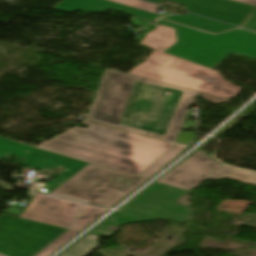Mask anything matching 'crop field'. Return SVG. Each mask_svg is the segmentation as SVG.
Wrapping results in <instances>:
<instances>
[{
  "label": "crop field",
  "mask_w": 256,
  "mask_h": 256,
  "mask_svg": "<svg viewBox=\"0 0 256 256\" xmlns=\"http://www.w3.org/2000/svg\"><path fill=\"white\" fill-rule=\"evenodd\" d=\"M197 94L106 69L87 120L175 142Z\"/></svg>",
  "instance_id": "8a807250"
},
{
  "label": "crop field",
  "mask_w": 256,
  "mask_h": 256,
  "mask_svg": "<svg viewBox=\"0 0 256 256\" xmlns=\"http://www.w3.org/2000/svg\"><path fill=\"white\" fill-rule=\"evenodd\" d=\"M74 127L37 146L83 162L138 176L175 144L91 124Z\"/></svg>",
  "instance_id": "ac0d7876"
},
{
  "label": "crop field",
  "mask_w": 256,
  "mask_h": 256,
  "mask_svg": "<svg viewBox=\"0 0 256 256\" xmlns=\"http://www.w3.org/2000/svg\"><path fill=\"white\" fill-rule=\"evenodd\" d=\"M154 23L175 28L177 43L164 53L210 69L231 52L256 58V33L254 32L237 28L213 34L161 18Z\"/></svg>",
  "instance_id": "34b2d1b8"
},
{
  "label": "crop field",
  "mask_w": 256,
  "mask_h": 256,
  "mask_svg": "<svg viewBox=\"0 0 256 256\" xmlns=\"http://www.w3.org/2000/svg\"><path fill=\"white\" fill-rule=\"evenodd\" d=\"M128 74L226 99L241 91L216 71L156 50Z\"/></svg>",
  "instance_id": "412701ff"
},
{
  "label": "crop field",
  "mask_w": 256,
  "mask_h": 256,
  "mask_svg": "<svg viewBox=\"0 0 256 256\" xmlns=\"http://www.w3.org/2000/svg\"><path fill=\"white\" fill-rule=\"evenodd\" d=\"M147 179L87 165L52 194L113 207Z\"/></svg>",
  "instance_id": "f4fd0767"
},
{
  "label": "crop field",
  "mask_w": 256,
  "mask_h": 256,
  "mask_svg": "<svg viewBox=\"0 0 256 256\" xmlns=\"http://www.w3.org/2000/svg\"><path fill=\"white\" fill-rule=\"evenodd\" d=\"M65 229L6 215L0 216V253L33 256Z\"/></svg>",
  "instance_id": "dd49c442"
},
{
  "label": "crop field",
  "mask_w": 256,
  "mask_h": 256,
  "mask_svg": "<svg viewBox=\"0 0 256 256\" xmlns=\"http://www.w3.org/2000/svg\"><path fill=\"white\" fill-rule=\"evenodd\" d=\"M187 192L155 182L121 210L183 223L190 218L189 208L174 201Z\"/></svg>",
  "instance_id": "e52e79f7"
},
{
  "label": "crop field",
  "mask_w": 256,
  "mask_h": 256,
  "mask_svg": "<svg viewBox=\"0 0 256 256\" xmlns=\"http://www.w3.org/2000/svg\"><path fill=\"white\" fill-rule=\"evenodd\" d=\"M5 154L28 158L24 162L27 167L50 171L69 177L87 165V163L0 138V157ZM44 157L48 159H44ZM55 188L57 187L40 183L34 190L50 193Z\"/></svg>",
  "instance_id": "d8731c3e"
},
{
  "label": "crop field",
  "mask_w": 256,
  "mask_h": 256,
  "mask_svg": "<svg viewBox=\"0 0 256 256\" xmlns=\"http://www.w3.org/2000/svg\"><path fill=\"white\" fill-rule=\"evenodd\" d=\"M82 204L38 193L20 216L68 229Z\"/></svg>",
  "instance_id": "5a996713"
},
{
  "label": "crop field",
  "mask_w": 256,
  "mask_h": 256,
  "mask_svg": "<svg viewBox=\"0 0 256 256\" xmlns=\"http://www.w3.org/2000/svg\"><path fill=\"white\" fill-rule=\"evenodd\" d=\"M219 165L197 151L157 182L190 191L207 179L205 176Z\"/></svg>",
  "instance_id": "3316defc"
},
{
  "label": "crop field",
  "mask_w": 256,
  "mask_h": 256,
  "mask_svg": "<svg viewBox=\"0 0 256 256\" xmlns=\"http://www.w3.org/2000/svg\"><path fill=\"white\" fill-rule=\"evenodd\" d=\"M161 2L164 0H152ZM181 3L188 11L240 26L254 6L231 0H167ZM155 2V3H156Z\"/></svg>",
  "instance_id": "28ad6ade"
},
{
  "label": "crop field",
  "mask_w": 256,
  "mask_h": 256,
  "mask_svg": "<svg viewBox=\"0 0 256 256\" xmlns=\"http://www.w3.org/2000/svg\"><path fill=\"white\" fill-rule=\"evenodd\" d=\"M53 9L67 12L81 11V12H96L102 13L107 9L116 10L146 20H154L158 17L155 14L147 13L144 11L136 10L133 8L125 7L115 3L104 0H63Z\"/></svg>",
  "instance_id": "d1516ede"
},
{
  "label": "crop field",
  "mask_w": 256,
  "mask_h": 256,
  "mask_svg": "<svg viewBox=\"0 0 256 256\" xmlns=\"http://www.w3.org/2000/svg\"><path fill=\"white\" fill-rule=\"evenodd\" d=\"M174 43H176L174 29L159 25L144 37L140 45L163 52Z\"/></svg>",
  "instance_id": "22f410ed"
},
{
  "label": "crop field",
  "mask_w": 256,
  "mask_h": 256,
  "mask_svg": "<svg viewBox=\"0 0 256 256\" xmlns=\"http://www.w3.org/2000/svg\"><path fill=\"white\" fill-rule=\"evenodd\" d=\"M151 220H157V219L141 216V215L125 213V212H116L112 216H110L107 220H105L101 225H99L97 228L91 231L89 234L110 238L115 233V231L108 230V228L113 224L120 226L125 223L151 221Z\"/></svg>",
  "instance_id": "cbeb9de0"
},
{
  "label": "crop field",
  "mask_w": 256,
  "mask_h": 256,
  "mask_svg": "<svg viewBox=\"0 0 256 256\" xmlns=\"http://www.w3.org/2000/svg\"><path fill=\"white\" fill-rule=\"evenodd\" d=\"M168 20L194 26L210 32H221L229 29L236 28L235 26L220 23L214 20H210L204 17L196 16L193 14H187L185 16H170L166 18Z\"/></svg>",
  "instance_id": "5142ce71"
},
{
  "label": "crop field",
  "mask_w": 256,
  "mask_h": 256,
  "mask_svg": "<svg viewBox=\"0 0 256 256\" xmlns=\"http://www.w3.org/2000/svg\"><path fill=\"white\" fill-rule=\"evenodd\" d=\"M108 209L84 204L70 229L81 231Z\"/></svg>",
  "instance_id": "d9b57169"
},
{
  "label": "crop field",
  "mask_w": 256,
  "mask_h": 256,
  "mask_svg": "<svg viewBox=\"0 0 256 256\" xmlns=\"http://www.w3.org/2000/svg\"><path fill=\"white\" fill-rule=\"evenodd\" d=\"M209 178L214 179H222L224 177H230L232 179L249 183V184H255L256 185V174L250 173L238 169H234L232 167L223 165L218 170H216L214 173H212Z\"/></svg>",
  "instance_id": "733c2abd"
},
{
  "label": "crop field",
  "mask_w": 256,
  "mask_h": 256,
  "mask_svg": "<svg viewBox=\"0 0 256 256\" xmlns=\"http://www.w3.org/2000/svg\"><path fill=\"white\" fill-rule=\"evenodd\" d=\"M97 238V236L87 234L60 256H85L98 246Z\"/></svg>",
  "instance_id": "4a817a6b"
},
{
  "label": "crop field",
  "mask_w": 256,
  "mask_h": 256,
  "mask_svg": "<svg viewBox=\"0 0 256 256\" xmlns=\"http://www.w3.org/2000/svg\"><path fill=\"white\" fill-rule=\"evenodd\" d=\"M184 149V146L176 145L164 156H162L158 161H156L152 166L145 170L141 175H139V177L149 179L165 165H167L170 161H172L175 157H177L180 153H182Z\"/></svg>",
  "instance_id": "bc2a9ffb"
},
{
  "label": "crop field",
  "mask_w": 256,
  "mask_h": 256,
  "mask_svg": "<svg viewBox=\"0 0 256 256\" xmlns=\"http://www.w3.org/2000/svg\"><path fill=\"white\" fill-rule=\"evenodd\" d=\"M78 231H72L69 230L65 234H63L61 237H59L57 240H55L50 246L43 249L41 252H39L36 256H48L53 251L58 249L60 246H62L65 242H67L69 239H71L74 235H76Z\"/></svg>",
  "instance_id": "214f88e0"
},
{
  "label": "crop field",
  "mask_w": 256,
  "mask_h": 256,
  "mask_svg": "<svg viewBox=\"0 0 256 256\" xmlns=\"http://www.w3.org/2000/svg\"><path fill=\"white\" fill-rule=\"evenodd\" d=\"M112 1L122 3L125 5H129L132 7H136L139 9L147 10V11L154 12V13L156 12V9L158 6L157 4L149 3L146 1H142V0H112Z\"/></svg>",
  "instance_id": "92a150f3"
},
{
  "label": "crop field",
  "mask_w": 256,
  "mask_h": 256,
  "mask_svg": "<svg viewBox=\"0 0 256 256\" xmlns=\"http://www.w3.org/2000/svg\"><path fill=\"white\" fill-rule=\"evenodd\" d=\"M193 139H195L194 133L180 131L179 137L176 142L181 144H188Z\"/></svg>",
  "instance_id": "dafd665d"
},
{
  "label": "crop field",
  "mask_w": 256,
  "mask_h": 256,
  "mask_svg": "<svg viewBox=\"0 0 256 256\" xmlns=\"http://www.w3.org/2000/svg\"><path fill=\"white\" fill-rule=\"evenodd\" d=\"M242 27L250 28L256 30V8L243 23Z\"/></svg>",
  "instance_id": "00972430"
},
{
  "label": "crop field",
  "mask_w": 256,
  "mask_h": 256,
  "mask_svg": "<svg viewBox=\"0 0 256 256\" xmlns=\"http://www.w3.org/2000/svg\"><path fill=\"white\" fill-rule=\"evenodd\" d=\"M234 1H238V2H242V3H246V4L256 6V0H234Z\"/></svg>",
  "instance_id": "a9b5d70f"
},
{
  "label": "crop field",
  "mask_w": 256,
  "mask_h": 256,
  "mask_svg": "<svg viewBox=\"0 0 256 256\" xmlns=\"http://www.w3.org/2000/svg\"><path fill=\"white\" fill-rule=\"evenodd\" d=\"M1 256V255H0Z\"/></svg>",
  "instance_id": "4177f3b9"
}]
</instances>
